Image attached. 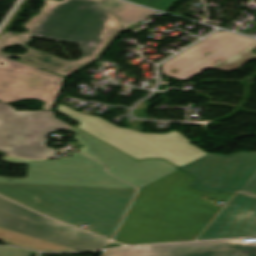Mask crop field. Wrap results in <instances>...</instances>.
Returning a JSON list of instances; mask_svg holds the SVG:
<instances>
[{
  "label": "crop field",
  "instance_id": "obj_2",
  "mask_svg": "<svg viewBox=\"0 0 256 256\" xmlns=\"http://www.w3.org/2000/svg\"><path fill=\"white\" fill-rule=\"evenodd\" d=\"M191 181L178 169L140 188L114 240L124 244L194 240L221 209L204 200L227 203L233 194L186 188Z\"/></svg>",
  "mask_w": 256,
  "mask_h": 256
},
{
  "label": "crop field",
  "instance_id": "obj_16",
  "mask_svg": "<svg viewBox=\"0 0 256 256\" xmlns=\"http://www.w3.org/2000/svg\"><path fill=\"white\" fill-rule=\"evenodd\" d=\"M144 6H148L157 10H161L166 12L170 9L174 4L178 2V0H129Z\"/></svg>",
  "mask_w": 256,
  "mask_h": 256
},
{
  "label": "crop field",
  "instance_id": "obj_11",
  "mask_svg": "<svg viewBox=\"0 0 256 256\" xmlns=\"http://www.w3.org/2000/svg\"><path fill=\"white\" fill-rule=\"evenodd\" d=\"M69 131L75 133L74 139L85 146L79 151L109 165V173L138 188L177 169L162 159L137 162L75 128Z\"/></svg>",
  "mask_w": 256,
  "mask_h": 256
},
{
  "label": "crop field",
  "instance_id": "obj_17",
  "mask_svg": "<svg viewBox=\"0 0 256 256\" xmlns=\"http://www.w3.org/2000/svg\"><path fill=\"white\" fill-rule=\"evenodd\" d=\"M238 193L250 195L256 197V171L248 179V181L241 187Z\"/></svg>",
  "mask_w": 256,
  "mask_h": 256
},
{
  "label": "crop field",
  "instance_id": "obj_6",
  "mask_svg": "<svg viewBox=\"0 0 256 256\" xmlns=\"http://www.w3.org/2000/svg\"><path fill=\"white\" fill-rule=\"evenodd\" d=\"M1 161L28 163V169L27 179L0 177V182L133 188L106 174L103 165L79 153L56 161H29L8 156Z\"/></svg>",
  "mask_w": 256,
  "mask_h": 256
},
{
  "label": "crop field",
  "instance_id": "obj_4",
  "mask_svg": "<svg viewBox=\"0 0 256 256\" xmlns=\"http://www.w3.org/2000/svg\"><path fill=\"white\" fill-rule=\"evenodd\" d=\"M56 110L81 123L77 128L140 160L163 158L179 168L206 155L177 131L168 134L140 133L120 129L95 116L79 113L60 103Z\"/></svg>",
  "mask_w": 256,
  "mask_h": 256
},
{
  "label": "crop field",
  "instance_id": "obj_18",
  "mask_svg": "<svg viewBox=\"0 0 256 256\" xmlns=\"http://www.w3.org/2000/svg\"><path fill=\"white\" fill-rule=\"evenodd\" d=\"M34 253L33 251L0 247V256H31Z\"/></svg>",
  "mask_w": 256,
  "mask_h": 256
},
{
  "label": "crop field",
  "instance_id": "obj_13",
  "mask_svg": "<svg viewBox=\"0 0 256 256\" xmlns=\"http://www.w3.org/2000/svg\"><path fill=\"white\" fill-rule=\"evenodd\" d=\"M256 236V200L235 194L198 240Z\"/></svg>",
  "mask_w": 256,
  "mask_h": 256
},
{
  "label": "crop field",
  "instance_id": "obj_15",
  "mask_svg": "<svg viewBox=\"0 0 256 256\" xmlns=\"http://www.w3.org/2000/svg\"><path fill=\"white\" fill-rule=\"evenodd\" d=\"M0 239H2L4 242L32 250L74 251L3 228H0Z\"/></svg>",
  "mask_w": 256,
  "mask_h": 256
},
{
  "label": "crop field",
  "instance_id": "obj_10",
  "mask_svg": "<svg viewBox=\"0 0 256 256\" xmlns=\"http://www.w3.org/2000/svg\"><path fill=\"white\" fill-rule=\"evenodd\" d=\"M255 42L219 31L162 64L163 73L180 80L189 79L206 68L212 69Z\"/></svg>",
  "mask_w": 256,
  "mask_h": 256
},
{
  "label": "crop field",
  "instance_id": "obj_5",
  "mask_svg": "<svg viewBox=\"0 0 256 256\" xmlns=\"http://www.w3.org/2000/svg\"><path fill=\"white\" fill-rule=\"evenodd\" d=\"M73 127L57 120L53 112H16L0 102V151L11 156L42 159L58 152L45 147L47 135L57 129Z\"/></svg>",
  "mask_w": 256,
  "mask_h": 256
},
{
  "label": "crop field",
  "instance_id": "obj_3",
  "mask_svg": "<svg viewBox=\"0 0 256 256\" xmlns=\"http://www.w3.org/2000/svg\"><path fill=\"white\" fill-rule=\"evenodd\" d=\"M135 189L0 183V195L111 239Z\"/></svg>",
  "mask_w": 256,
  "mask_h": 256
},
{
  "label": "crop field",
  "instance_id": "obj_14",
  "mask_svg": "<svg viewBox=\"0 0 256 256\" xmlns=\"http://www.w3.org/2000/svg\"><path fill=\"white\" fill-rule=\"evenodd\" d=\"M101 8L119 17L124 30L156 11L148 10L130 3L119 0H104L100 5Z\"/></svg>",
  "mask_w": 256,
  "mask_h": 256
},
{
  "label": "crop field",
  "instance_id": "obj_9",
  "mask_svg": "<svg viewBox=\"0 0 256 256\" xmlns=\"http://www.w3.org/2000/svg\"><path fill=\"white\" fill-rule=\"evenodd\" d=\"M195 177L193 188L212 192H237L256 170V153L231 156L208 154L182 168Z\"/></svg>",
  "mask_w": 256,
  "mask_h": 256
},
{
  "label": "crop field",
  "instance_id": "obj_12",
  "mask_svg": "<svg viewBox=\"0 0 256 256\" xmlns=\"http://www.w3.org/2000/svg\"><path fill=\"white\" fill-rule=\"evenodd\" d=\"M105 256H256V244L247 246L240 239L126 247L106 251Z\"/></svg>",
  "mask_w": 256,
  "mask_h": 256
},
{
  "label": "crop field",
  "instance_id": "obj_1",
  "mask_svg": "<svg viewBox=\"0 0 256 256\" xmlns=\"http://www.w3.org/2000/svg\"><path fill=\"white\" fill-rule=\"evenodd\" d=\"M43 1L40 13L24 25L26 34L5 32L0 36V55L16 56L21 62L67 77L100 58L123 31L118 17L98 7L103 0ZM31 37L75 43L84 54L77 61H66L26 46ZM18 44L28 52H2L5 47Z\"/></svg>",
  "mask_w": 256,
  "mask_h": 256
},
{
  "label": "crop field",
  "instance_id": "obj_7",
  "mask_svg": "<svg viewBox=\"0 0 256 256\" xmlns=\"http://www.w3.org/2000/svg\"><path fill=\"white\" fill-rule=\"evenodd\" d=\"M0 227L77 251L100 249L112 242L29 211L2 197Z\"/></svg>",
  "mask_w": 256,
  "mask_h": 256
},
{
  "label": "crop field",
  "instance_id": "obj_8",
  "mask_svg": "<svg viewBox=\"0 0 256 256\" xmlns=\"http://www.w3.org/2000/svg\"><path fill=\"white\" fill-rule=\"evenodd\" d=\"M0 62V101L33 99L52 110L65 78L2 56Z\"/></svg>",
  "mask_w": 256,
  "mask_h": 256
}]
</instances>
